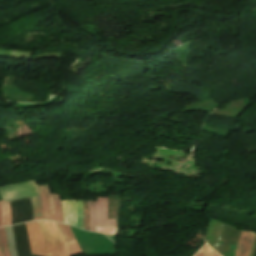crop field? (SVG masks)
<instances>
[{
  "mask_svg": "<svg viewBox=\"0 0 256 256\" xmlns=\"http://www.w3.org/2000/svg\"><path fill=\"white\" fill-rule=\"evenodd\" d=\"M44 233L47 256H70L82 253L76 240L65 242L51 221H38Z\"/></svg>",
  "mask_w": 256,
  "mask_h": 256,
  "instance_id": "8a807250",
  "label": "crop field"
},
{
  "mask_svg": "<svg viewBox=\"0 0 256 256\" xmlns=\"http://www.w3.org/2000/svg\"><path fill=\"white\" fill-rule=\"evenodd\" d=\"M90 214V231L96 232L95 225L116 227L117 219H106L107 197H97L88 201Z\"/></svg>",
  "mask_w": 256,
  "mask_h": 256,
  "instance_id": "ac0d7876",
  "label": "crop field"
},
{
  "mask_svg": "<svg viewBox=\"0 0 256 256\" xmlns=\"http://www.w3.org/2000/svg\"><path fill=\"white\" fill-rule=\"evenodd\" d=\"M64 209V221L66 224H72L77 228L82 229L83 212H82V200L62 201Z\"/></svg>",
  "mask_w": 256,
  "mask_h": 256,
  "instance_id": "34b2d1b8",
  "label": "crop field"
},
{
  "mask_svg": "<svg viewBox=\"0 0 256 256\" xmlns=\"http://www.w3.org/2000/svg\"><path fill=\"white\" fill-rule=\"evenodd\" d=\"M32 254L46 256L43 233L37 221L26 223Z\"/></svg>",
  "mask_w": 256,
  "mask_h": 256,
  "instance_id": "412701ff",
  "label": "crop field"
},
{
  "mask_svg": "<svg viewBox=\"0 0 256 256\" xmlns=\"http://www.w3.org/2000/svg\"><path fill=\"white\" fill-rule=\"evenodd\" d=\"M43 187L46 195V200H47L51 220H55L63 223L62 209H61L59 195L51 194L48 184L43 185Z\"/></svg>",
  "mask_w": 256,
  "mask_h": 256,
  "instance_id": "f4fd0767",
  "label": "crop field"
},
{
  "mask_svg": "<svg viewBox=\"0 0 256 256\" xmlns=\"http://www.w3.org/2000/svg\"><path fill=\"white\" fill-rule=\"evenodd\" d=\"M254 235L255 234L249 233V232L241 233L240 241H239L237 252H236L235 256H249L250 255Z\"/></svg>",
  "mask_w": 256,
  "mask_h": 256,
  "instance_id": "dd49c442",
  "label": "crop field"
},
{
  "mask_svg": "<svg viewBox=\"0 0 256 256\" xmlns=\"http://www.w3.org/2000/svg\"><path fill=\"white\" fill-rule=\"evenodd\" d=\"M0 210H1L0 227L4 225H10L11 211H10L8 202L4 203V201H0Z\"/></svg>",
  "mask_w": 256,
  "mask_h": 256,
  "instance_id": "e52e79f7",
  "label": "crop field"
},
{
  "mask_svg": "<svg viewBox=\"0 0 256 256\" xmlns=\"http://www.w3.org/2000/svg\"><path fill=\"white\" fill-rule=\"evenodd\" d=\"M37 187H38V192H39V198H40L41 208H42V212H43V217L46 220H50L48 209H47V204H46V200H45V195H44V191H43V187H42V185H37Z\"/></svg>",
  "mask_w": 256,
  "mask_h": 256,
  "instance_id": "d8731c3e",
  "label": "crop field"
},
{
  "mask_svg": "<svg viewBox=\"0 0 256 256\" xmlns=\"http://www.w3.org/2000/svg\"><path fill=\"white\" fill-rule=\"evenodd\" d=\"M5 230H6L7 240H8L10 256H16V250L14 247V235H13L12 227L11 226L5 227Z\"/></svg>",
  "mask_w": 256,
  "mask_h": 256,
  "instance_id": "5a996713",
  "label": "crop field"
},
{
  "mask_svg": "<svg viewBox=\"0 0 256 256\" xmlns=\"http://www.w3.org/2000/svg\"><path fill=\"white\" fill-rule=\"evenodd\" d=\"M30 199L34 213V220L43 219L38 196L30 197Z\"/></svg>",
  "mask_w": 256,
  "mask_h": 256,
  "instance_id": "3316defc",
  "label": "crop field"
},
{
  "mask_svg": "<svg viewBox=\"0 0 256 256\" xmlns=\"http://www.w3.org/2000/svg\"><path fill=\"white\" fill-rule=\"evenodd\" d=\"M55 224L57 225V227L61 231V233L64 236L66 241L75 239L70 226L59 224V223H55Z\"/></svg>",
  "mask_w": 256,
  "mask_h": 256,
  "instance_id": "28ad6ade",
  "label": "crop field"
},
{
  "mask_svg": "<svg viewBox=\"0 0 256 256\" xmlns=\"http://www.w3.org/2000/svg\"><path fill=\"white\" fill-rule=\"evenodd\" d=\"M0 244L4 256H9L4 227L0 228Z\"/></svg>",
  "mask_w": 256,
  "mask_h": 256,
  "instance_id": "d1516ede",
  "label": "crop field"
},
{
  "mask_svg": "<svg viewBox=\"0 0 256 256\" xmlns=\"http://www.w3.org/2000/svg\"><path fill=\"white\" fill-rule=\"evenodd\" d=\"M97 232L105 233L116 237V228L96 226Z\"/></svg>",
  "mask_w": 256,
  "mask_h": 256,
  "instance_id": "22f410ed",
  "label": "crop field"
},
{
  "mask_svg": "<svg viewBox=\"0 0 256 256\" xmlns=\"http://www.w3.org/2000/svg\"><path fill=\"white\" fill-rule=\"evenodd\" d=\"M214 250L209 248L207 245L200 250L195 256H209Z\"/></svg>",
  "mask_w": 256,
  "mask_h": 256,
  "instance_id": "cbeb9de0",
  "label": "crop field"
},
{
  "mask_svg": "<svg viewBox=\"0 0 256 256\" xmlns=\"http://www.w3.org/2000/svg\"><path fill=\"white\" fill-rule=\"evenodd\" d=\"M0 256H2L1 248H0Z\"/></svg>",
  "mask_w": 256,
  "mask_h": 256,
  "instance_id": "5142ce71",
  "label": "crop field"
}]
</instances>
